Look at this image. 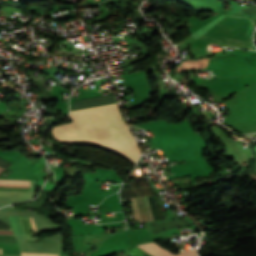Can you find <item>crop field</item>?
I'll use <instances>...</instances> for the list:
<instances>
[{
    "label": "crop field",
    "mask_w": 256,
    "mask_h": 256,
    "mask_svg": "<svg viewBox=\"0 0 256 256\" xmlns=\"http://www.w3.org/2000/svg\"><path fill=\"white\" fill-rule=\"evenodd\" d=\"M136 247L140 248L151 256H197L196 251H187L175 255L154 243L136 245Z\"/></svg>",
    "instance_id": "crop-field-1"
}]
</instances>
